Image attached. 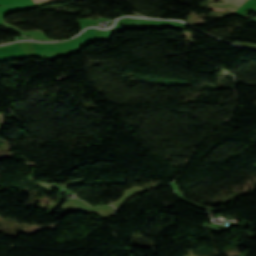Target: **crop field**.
Instances as JSON below:
<instances>
[{"mask_svg":"<svg viewBox=\"0 0 256 256\" xmlns=\"http://www.w3.org/2000/svg\"><path fill=\"white\" fill-rule=\"evenodd\" d=\"M209 7L227 8V9H230V10H233V11H236L239 8V6L232 5V4H229V3L209 4ZM217 8H209V9L227 11V9H217Z\"/></svg>","mask_w":256,"mask_h":256,"instance_id":"obj_1","label":"crop field"},{"mask_svg":"<svg viewBox=\"0 0 256 256\" xmlns=\"http://www.w3.org/2000/svg\"><path fill=\"white\" fill-rule=\"evenodd\" d=\"M224 1L241 5V4H243L247 0H224Z\"/></svg>","mask_w":256,"mask_h":256,"instance_id":"obj_2","label":"crop field"},{"mask_svg":"<svg viewBox=\"0 0 256 256\" xmlns=\"http://www.w3.org/2000/svg\"><path fill=\"white\" fill-rule=\"evenodd\" d=\"M34 3H38V2H44V1H48V0H33Z\"/></svg>","mask_w":256,"mask_h":256,"instance_id":"obj_3","label":"crop field"}]
</instances>
